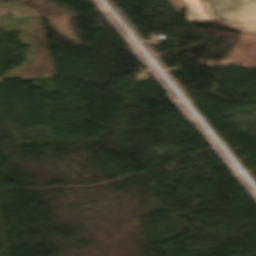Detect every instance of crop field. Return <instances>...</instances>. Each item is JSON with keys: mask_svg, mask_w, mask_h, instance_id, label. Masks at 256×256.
I'll return each instance as SVG.
<instances>
[{"mask_svg": "<svg viewBox=\"0 0 256 256\" xmlns=\"http://www.w3.org/2000/svg\"><path fill=\"white\" fill-rule=\"evenodd\" d=\"M187 8L188 21H210L212 20L206 13L200 0H183Z\"/></svg>", "mask_w": 256, "mask_h": 256, "instance_id": "8a807250", "label": "crop field"}]
</instances>
